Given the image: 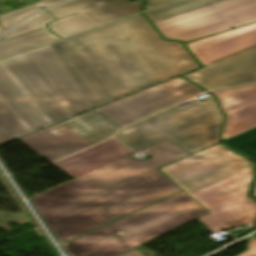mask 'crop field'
Listing matches in <instances>:
<instances>
[{
	"label": "crop field",
	"instance_id": "obj_1",
	"mask_svg": "<svg viewBox=\"0 0 256 256\" xmlns=\"http://www.w3.org/2000/svg\"><path fill=\"white\" fill-rule=\"evenodd\" d=\"M200 67L145 17L0 62V145Z\"/></svg>",
	"mask_w": 256,
	"mask_h": 256
},
{
	"label": "crop field",
	"instance_id": "obj_2",
	"mask_svg": "<svg viewBox=\"0 0 256 256\" xmlns=\"http://www.w3.org/2000/svg\"><path fill=\"white\" fill-rule=\"evenodd\" d=\"M144 150L154 158L130 155L30 198L58 242L180 190L155 168L189 154L170 140Z\"/></svg>",
	"mask_w": 256,
	"mask_h": 256
},
{
	"label": "crop field",
	"instance_id": "obj_3",
	"mask_svg": "<svg viewBox=\"0 0 256 256\" xmlns=\"http://www.w3.org/2000/svg\"><path fill=\"white\" fill-rule=\"evenodd\" d=\"M254 165L220 143L160 170L209 211L198 220L214 233L246 223L255 227L256 201L249 197Z\"/></svg>",
	"mask_w": 256,
	"mask_h": 256
},
{
	"label": "crop field",
	"instance_id": "obj_4",
	"mask_svg": "<svg viewBox=\"0 0 256 256\" xmlns=\"http://www.w3.org/2000/svg\"><path fill=\"white\" fill-rule=\"evenodd\" d=\"M199 92L204 91L180 77L19 140L53 162Z\"/></svg>",
	"mask_w": 256,
	"mask_h": 256
},
{
	"label": "crop field",
	"instance_id": "obj_5",
	"mask_svg": "<svg viewBox=\"0 0 256 256\" xmlns=\"http://www.w3.org/2000/svg\"><path fill=\"white\" fill-rule=\"evenodd\" d=\"M206 213L207 210L183 191L62 247L70 256H120Z\"/></svg>",
	"mask_w": 256,
	"mask_h": 256
},
{
	"label": "crop field",
	"instance_id": "obj_6",
	"mask_svg": "<svg viewBox=\"0 0 256 256\" xmlns=\"http://www.w3.org/2000/svg\"><path fill=\"white\" fill-rule=\"evenodd\" d=\"M145 15L164 38L185 42L256 21V0H179Z\"/></svg>",
	"mask_w": 256,
	"mask_h": 256
},
{
	"label": "crop field",
	"instance_id": "obj_7",
	"mask_svg": "<svg viewBox=\"0 0 256 256\" xmlns=\"http://www.w3.org/2000/svg\"><path fill=\"white\" fill-rule=\"evenodd\" d=\"M221 116L215 99L210 96L203 104L194 102L183 109L177 106L168 109L122 130L115 137L137 152Z\"/></svg>",
	"mask_w": 256,
	"mask_h": 256
},
{
	"label": "crop field",
	"instance_id": "obj_8",
	"mask_svg": "<svg viewBox=\"0 0 256 256\" xmlns=\"http://www.w3.org/2000/svg\"><path fill=\"white\" fill-rule=\"evenodd\" d=\"M209 90L251 84L256 81V48L185 75Z\"/></svg>",
	"mask_w": 256,
	"mask_h": 256
},
{
	"label": "crop field",
	"instance_id": "obj_9",
	"mask_svg": "<svg viewBox=\"0 0 256 256\" xmlns=\"http://www.w3.org/2000/svg\"><path fill=\"white\" fill-rule=\"evenodd\" d=\"M202 65L256 46V23L186 44Z\"/></svg>",
	"mask_w": 256,
	"mask_h": 256
},
{
	"label": "crop field",
	"instance_id": "obj_10",
	"mask_svg": "<svg viewBox=\"0 0 256 256\" xmlns=\"http://www.w3.org/2000/svg\"><path fill=\"white\" fill-rule=\"evenodd\" d=\"M102 1L98 6L95 3ZM142 0L130 3L128 0H75L47 10L57 20L73 14H81L96 26L139 12Z\"/></svg>",
	"mask_w": 256,
	"mask_h": 256
},
{
	"label": "crop field",
	"instance_id": "obj_11",
	"mask_svg": "<svg viewBox=\"0 0 256 256\" xmlns=\"http://www.w3.org/2000/svg\"><path fill=\"white\" fill-rule=\"evenodd\" d=\"M53 20L55 19L43 11L19 24L0 41V59L59 40L45 27L46 22Z\"/></svg>",
	"mask_w": 256,
	"mask_h": 256
},
{
	"label": "crop field",
	"instance_id": "obj_12",
	"mask_svg": "<svg viewBox=\"0 0 256 256\" xmlns=\"http://www.w3.org/2000/svg\"><path fill=\"white\" fill-rule=\"evenodd\" d=\"M132 153L131 150L112 138L77 155L60 160L54 165L75 179Z\"/></svg>",
	"mask_w": 256,
	"mask_h": 256
},
{
	"label": "crop field",
	"instance_id": "obj_13",
	"mask_svg": "<svg viewBox=\"0 0 256 256\" xmlns=\"http://www.w3.org/2000/svg\"><path fill=\"white\" fill-rule=\"evenodd\" d=\"M222 122L223 117L212 120L170 140L192 154L220 141Z\"/></svg>",
	"mask_w": 256,
	"mask_h": 256
},
{
	"label": "crop field",
	"instance_id": "obj_14",
	"mask_svg": "<svg viewBox=\"0 0 256 256\" xmlns=\"http://www.w3.org/2000/svg\"><path fill=\"white\" fill-rule=\"evenodd\" d=\"M211 93L220 100L225 115L256 102V85L236 90H217Z\"/></svg>",
	"mask_w": 256,
	"mask_h": 256
},
{
	"label": "crop field",
	"instance_id": "obj_15",
	"mask_svg": "<svg viewBox=\"0 0 256 256\" xmlns=\"http://www.w3.org/2000/svg\"><path fill=\"white\" fill-rule=\"evenodd\" d=\"M223 140L256 127V103L225 116Z\"/></svg>",
	"mask_w": 256,
	"mask_h": 256
},
{
	"label": "crop field",
	"instance_id": "obj_16",
	"mask_svg": "<svg viewBox=\"0 0 256 256\" xmlns=\"http://www.w3.org/2000/svg\"><path fill=\"white\" fill-rule=\"evenodd\" d=\"M48 26L53 33L63 38L95 27L79 14L56 21Z\"/></svg>",
	"mask_w": 256,
	"mask_h": 256
},
{
	"label": "crop field",
	"instance_id": "obj_17",
	"mask_svg": "<svg viewBox=\"0 0 256 256\" xmlns=\"http://www.w3.org/2000/svg\"><path fill=\"white\" fill-rule=\"evenodd\" d=\"M244 155L256 160V128L224 141Z\"/></svg>",
	"mask_w": 256,
	"mask_h": 256
},
{
	"label": "crop field",
	"instance_id": "obj_18",
	"mask_svg": "<svg viewBox=\"0 0 256 256\" xmlns=\"http://www.w3.org/2000/svg\"><path fill=\"white\" fill-rule=\"evenodd\" d=\"M39 9H42V8L39 6V3H38L32 6L11 12V13H7L0 16V22L3 25V27L9 28L15 23H17L19 20H21L23 17H25L26 15Z\"/></svg>",
	"mask_w": 256,
	"mask_h": 256
},
{
	"label": "crop field",
	"instance_id": "obj_19",
	"mask_svg": "<svg viewBox=\"0 0 256 256\" xmlns=\"http://www.w3.org/2000/svg\"><path fill=\"white\" fill-rule=\"evenodd\" d=\"M239 256H256V240H249L248 250L243 252Z\"/></svg>",
	"mask_w": 256,
	"mask_h": 256
},
{
	"label": "crop field",
	"instance_id": "obj_20",
	"mask_svg": "<svg viewBox=\"0 0 256 256\" xmlns=\"http://www.w3.org/2000/svg\"><path fill=\"white\" fill-rule=\"evenodd\" d=\"M169 1H172V0H148V3L145 6L144 10L154 7V6H157V5H160V4H163V3H166V2H169Z\"/></svg>",
	"mask_w": 256,
	"mask_h": 256
},
{
	"label": "crop field",
	"instance_id": "obj_21",
	"mask_svg": "<svg viewBox=\"0 0 256 256\" xmlns=\"http://www.w3.org/2000/svg\"><path fill=\"white\" fill-rule=\"evenodd\" d=\"M63 1H66V0H46V1L41 2L40 6L45 8V7H48V6L63 2Z\"/></svg>",
	"mask_w": 256,
	"mask_h": 256
},
{
	"label": "crop field",
	"instance_id": "obj_22",
	"mask_svg": "<svg viewBox=\"0 0 256 256\" xmlns=\"http://www.w3.org/2000/svg\"><path fill=\"white\" fill-rule=\"evenodd\" d=\"M123 256H144V255H142L140 252H138L136 250H133V251H131V252H129V253L123 255Z\"/></svg>",
	"mask_w": 256,
	"mask_h": 256
},
{
	"label": "crop field",
	"instance_id": "obj_23",
	"mask_svg": "<svg viewBox=\"0 0 256 256\" xmlns=\"http://www.w3.org/2000/svg\"><path fill=\"white\" fill-rule=\"evenodd\" d=\"M5 31V29L0 27V34H2Z\"/></svg>",
	"mask_w": 256,
	"mask_h": 256
},
{
	"label": "crop field",
	"instance_id": "obj_24",
	"mask_svg": "<svg viewBox=\"0 0 256 256\" xmlns=\"http://www.w3.org/2000/svg\"><path fill=\"white\" fill-rule=\"evenodd\" d=\"M254 196L256 197V186H255V192H254Z\"/></svg>",
	"mask_w": 256,
	"mask_h": 256
},
{
	"label": "crop field",
	"instance_id": "obj_25",
	"mask_svg": "<svg viewBox=\"0 0 256 256\" xmlns=\"http://www.w3.org/2000/svg\"><path fill=\"white\" fill-rule=\"evenodd\" d=\"M0 174H1V172H0Z\"/></svg>",
	"mask_w": 256,
	"mask_h": 256
},
{
	"label": "crop field",
	"instance_id": "obj_26",
	"mask_svg": "<svg viewBox=\"0 0 256 256\" xmlns=\"http://www.w3.org/2000/svg\"><path fill=\"white\" fill-rule=\"evenodd\" d=\"M41 1H43V0H41Z\"/></svg>",
	"mask_w": 256,
	"mask_h": 256
}]
</instances>
